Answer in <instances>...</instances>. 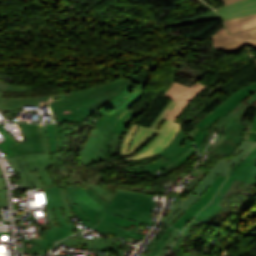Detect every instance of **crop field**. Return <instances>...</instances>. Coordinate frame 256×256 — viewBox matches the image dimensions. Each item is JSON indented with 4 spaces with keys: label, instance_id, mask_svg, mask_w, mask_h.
<instances>
[{
    "label": "crop field",
    "instance_id": "d32e631a",
    "mask_svg": "<svg viewBox=\"0 0 256 256\" xmlns=\"http://www.w3.org/2000/svg\"><path fill=\"white\" fill-rule=\"evenodd\" d=\"M136 229L137 227L135 226H131L129 229L121 227L120 230L117 232L116 236H120V237L127 236L131 238L143 240V238L145 237V234L135 232Z\"/></svg>",
    "mask_w": 256,
    "mask_h": 256
},
{
    "label": "crop field",
    "instance_id": "d8731c3e",
    "mask_svg": "<svg viewBox=\"0 0 256 256\" xmlns=\"http://www.w3.org/2000/svg\"><path fill=\"white\" fill-rule=\"evenodd\" d=\"M145 86L130 85L113 97L107 104L102 106L96 113L103 116L95 123L96 128L110 130L117 119L141 97Z\"/></svg>",
    "mask_w": 256,
    "mask_h": 256
},
{
    "label": "crop field",
    "instance_id": "89e229c0",
    "mask_svg": "<svg viewBox=\"0 0 256 256\" xmlns=\"http://www.w3.org/2000/svg\"><path fill=\"white\" fill-rule=\"evenodd\" d=\"M184 211L179 209L168 221H166L165 223L167 224H171L179 215H181Z\"/></svg>",
    "mask_w": 256,
    "mask_h": 256
},
{
    "label": "crop field",
    "instance_id": "34b2d1b8",
    "mask_svg": "<svg viewBox=\"0 0 256 256\" xmlns=\"http://www.w3.org/2000/svg\"><path fill=\"white\" fill-rule=\"evenodd\" d=\"M120 137V134L90 127L82 129L80 141L76 148V151H79L82 165L86 166L112 159L110 155L117 154Z\"/></svg>",
    "mask_w": 256,
    "mask_h": 256
},
{
    "label": "crop field",
    "instance_id": "d23c7cc5",
    "mask_svg": "<svg viewBox=\"0 0 256 256\" xmlns=\"http://www.w3.org/2000/svg\"><path fill=\"white\" fill-rule=\"evenodd\" d=\"M244 161L256 165V147L254 150L244 159Z\"/></svg>",
    "mask_w": 256,
    "mask_h": 256
},
{
    "label": "crop field",
    "instance_id": "d1516ede",
    "mask_svg": "<svg viewBox=\"0 0 256 256\" xmlns=\"http://www.w3.org/2000/svg\"><path fill=\"white\" fill-rule=\"evenodd\" d=\"M38 126L40 129L41 139L43 142L45 154L44 153L31 154V155H25L24 157L31 171L38 170L46 187L55 186L46 170L49 168H53V166L49 156V146H48V141H47V136L45 131V125L39 124Z\"/></svg>",
    "mask_w": 256,
    "mask_h": 256
},
{
    "label": "crop field",
    "instance_id": "5a996713",
    "mask_svg": "<svg viewBox=\"0 0 256 256\" xmlns=\"http://www.w3.org/2000/svg\"><path fill=\"white\" fill-rule=\"evenodd\" d=\"M58 169L67 183L80 182L85 189L91 188L97 195L111 202L114 194L97 185L106 179L104 174H100L89 166L84 167L82 165H70Z\"/></svg>",
    "mask_w": 256,
    "mask_h": 256
},
{
    "label": "crop field",
    "instance_id": "412701ff",
    "mask_svg": "<svg viewBox=\"0 0 256 256\" xmlns=\"http://www.w3.org/2000/svg\"><path fill=\"white\" fill-rule=\"evenodd\" d=\"M128 83L123 77L113 82L80 91L67 93L69 100L50 104L52 112L85 105L97 111ZM92 95V97H90ZM104 106V105H103Z\"/></svg>",
    "mask_w": 256,
    "mask_h": 256
},
{
    "label": "crop field",
    "instance_id": "028f5c9d",
    "mask_svg": "<svg viewBox=\"0 0 256 256\" xmlns=\"http://www.w3.org/2000/svg\"><path fill=\"white\" fill-rule=\"evenodd\" d=\"M59 188H60V192H61V195H62V199H63L64 205H65V207H63V208L67 211V212H66V213H67L66 219H67L68 223H69L72 227L77 228V230H78L79 232H82V230H80L78 227H76V226L72 223V221L69 219L70 217H72L71 214L69 213L70 211H72V209L69 207V204H68V202H67V200H66L65 191H64V186H63V185H62V186H59Z\"/></svg>",
    "mask_w": 256,
    "mask_h": 256
},
{
    "label": "crop field",
    "instance_id": "eef30255",
    "mask_svg": "<svg viewBox=\"0 0 256 256\" xmlns=\"http://www.w3.org/2000/svg\"><path fill=\"white\" fill-rule=\"evenodd\" d=\"M7 160L9 162L12 170H17V172L21 173L23 188L24 189L34 188L28 175L26 174V172H28L29 169L26 165V162H25L23 156L13 157V158H9Z\"/></svg>",
    "mask_w": 256,
    "mask_h": 256
},
{
    "label": "crop field",
    "instance_id": "447ae74e",
    "mask_svg": "<svg viewBox=\"0 0 256 256\" xmlns=\"http://www.w3.org/2000/svg\"><path fill=\"white\" fill-rule=\"evenodd\" d=\"M252 126H256V115H255V118H254V120L252 122Z\"/></svg>",
    "mask_w": 256,
    "mask_h": 256
},
{
    "label": "crop field",
    "instance_id": "b54c1fbb",
    "mask_svg": "<svg viewBox=\"0 0 256 256\" xmlns=\"http://www.w3.org/2000/svg\"><path fill=\"white\" fill-rule=\"evenodd\" d=\"M56 129H57V139H58V151H63L62 137H61V123L56 124Z\"/></svg>",
    "mask_w": 256,
    "mask_h": 256
},
{
    "label": "crop field",
    "instance_id": "e1f06a70",
    "mask_svg": "<svg viewBox=\"0 0 256 256\" xmlns=\"http://www.w3.org/2000/svg\"><path fill=\"white\" fill-rule=\"evenodd\" d=\"M35 188H45L37 171L28 173Z\"/></svg>",
    "mask_w": 256,
    "mask_h": 256
},
{
    "label": "crop field",
    "instance_id": "214f88e0",
    "mask_svg": "<svg viewBox=\"0 0 256 256\" xmlns=\"http://www.w3.org/2000/svg\"><path fill=\"white\" fill-rule=\"evenodd\" d=\"M186 136V133L183 131V129H181V131L178 133L177 137L173 140V142L159 154H161L162 156L166 157L171 161L180 153L184 152L187 147L191 148L193 143L190 141L189 138L183 146L180 145Z\"/></svg>",
    "mask_w": 256,
    "mask_h": 256
},
{
    "label": "crop field",
    "instance_id": "d3111659",
    "mask_svg": "<svg viewBox=\"0 0 256 256\" xmlns=\"http://www.w3.org/2000/svg\"><path fill=\"white\" fill-rule=\"evenodd\" d=\"M44 190L45 201L48 208L64 206L58 187L46 188Z\"/></svg>",
    "mask_w": 256,
    "mask_h": 256
},
{
    "label": "crop field",
    "instance_id": "dd49c442",
    "mask_svg": "<svg viewBox=\"0 0 256 256\" xmlns=\"http://www.w3.org/2000/svg\"><path fill=\"white\" fill-rule=\"evenodd\" d=\"M241 100L248 104L256 101V83L243 87L233 95L223 100L196 125V127L200 129L194 136L193 140L198 148L202 145L203 141L209 134L207 129L211 127L221 116L225 117V115L236 107Z\"/></svg>",
    "mask_w": 256,
    "mask_h": 256
},
{
    "label": "crop field",
    "instance_id": "a9b5d70f",
    "mask_svg": "<svg viewBox=\"0 0 256 256\" xmlns=\"http://www.w3.org/2000/svg\"><path fill=\"white\" fill-rule=\"evenodd\" d=\"M224 23L230 34H232L244 29L256 27V14L228 20Z\"/></svg>",
    "mask_w": 256,
    "mask_h": 256
},
{
    "label": "crop field",
    "instance_id": "5142ce71",
    "mask_svg": "<svg viewBox=\"0 0 256 256\" xmlns=\"http://www.w3.org/2000/svg\"><path fill=\"white\" fill-rule=\"evenodd\" d=\"M226 177L221 175H217L216 179L213 181L211 186L206 190V192L202 195V197L195 202L192 206L185 210V212L176 219L171 226L176 228H181L184 226L190 219H192L206 204L210 202L212 197L218 191L222 183L225 181Z\"/></svg>",
    "mask_w": 256,
    "mask_h": 256
},
{
    "label": "crop field",
    "instance_id": "0bd39190",
    "mask_svg": "<svg viewBox=\"0 0 256 256\" xmlns=\"http://www.w3.org/2000/svg\"><path fill=\"white\" fill-rule=\"evenodd\" d=\"M64 98H66L64 94L56 95V96H44V97H41L40 105H47L48 102L56 101Z\"/></svg>",
    "mask_w": 256,
    "mask_h": 256
},
{
    "label": "crop field",
    "instance_id": "73cf0c24",
    "mask_svg": "<svg viewBox=\"0 0 256 256\" xmlns=\"http://www.w3.org/2000/svg\"><path fill=\"white\" fill-rule=\"evenodd\" d=\"M178 232H179V231L174 228L173 232H172L171 235L167 238V240H166L165 243L170 244V242H171L172 239L177 240V238H178L177 233H178Z\"/></svg>",
    "mask_w": 256,
    "mask_h": 256
},
{
    "label": "crop field",
    "instance_id": "b80d0937",
    "mask_svg": "<svg viewBox=\"0 0 256 256\" xmlns=\"http://www.w3.org/2000/svg\"><path fill=\"white\" fill-rule=\"evenodd\" d=\"M70 207L74 210V212L79 216V218L82 220V222H83L85 225H87V226L93 228V227L87 222L89 219L82 213V211H81L75 204L70 205Z\"/></svg>",
    "mask_w": 256,
    "mask_h": 256
},
{
    "label": "crop field",
    "instance_id": "cbeb9de0",
    "mask_svg": "<svg viewBox=\"0 0 256 256\" xmlns=\"http://www.w3.org/2000/svg\"><path fill=\"white\" fill-rule=\"evenodd\" d=\"M206 86L196 82L191 88L180 83L174 82L167 90L165 96L178 101L177 106L166 117L175 120L182 112L184 107L193 99V97L203 90Z\"/></svg>",
    "mask_w": 256,
    "mask_h": 256
},
{
    "label": "crop field",
    "instance_id": "00972430",
    "mask_svg": "<svg viewBox=\"0 0 256 256\" xmlns=\"http://www.w3.org/2000/svg\"><path fill=\"white\" fill-rule=\"evenodd\" d=\"M188 150H189V148H187V150L184 153L180 154L178 157H176L171 162L168 161L167 159L163 158V159L155 161L149 165L138 166V167H126L124 169L127 172L132 173V174H148V173L154 172L158 169H161V168L175 162L177 159H179L181 156H183Z\"/></svg>",
    "mask_w": 256,
    "mask_h": 256
},
{
    "label": "crop field",
    "instance_id": "28ad6ade",
    "mask_svg": "<svg viewBox=\"0 0 256 256\" xmlns=\"http://www.w3.org/2000/svg\"><path fill=\"white\" fill-rule=\"evenodd\" d=\"M213 46L228 52H240L246 45L256 49V28L244 30L229 35L225 27L218 30L213 36Z\"/></svg>",
    "mask_w": 256,
    "mask_h": 256
},
{
    "label": "crop field",
    "instance_id": "1d83c4d3",
    "mask_svg": "<svg viewBox=\"0 0 256 256\" xmlns=\"http://www.w3.org/2000/svg\"><path fill=\"white\" fill-rule=\"evenodd\" d=\"M47 136L50 145V152L57 151V139L55 124H46Z\"/></svg>",
    "mask_w": 256,
    "mask_h": 256
},
{
    "label": "crop field",
    "instance_id": "750c4746",
    "mask_svg": "<svg viewBox=\"0 0 256 256\" xmlns=\"http://www.w3.org/2000/svg\"><path fill=\"white\" fill-rule=\"evenodd\" d=\"M213 19H219V16L215 11L210 12L205 15H200V16H196L193 18L183 20V21H179V22H176L173 24L164 25L163 27L167 28V27H171V26L189 25L191 23L201 22V21H206V20H213Z\"/></svg>",
    "mask_w": 256,
    "mask_h": 256
},
{
    "label": "crop field",
    "instance_id": "0fb4a251",
    "mask_svg": "<svg viewBox=\"0 0 256 256\" xmlns=\"http://www.w3.org/2000/svg\"><path fill=\"white\" fill-rule=\"evenodd\" d=\"M176 168H178L177 166H175L174 164H172V165H170V166H168V167H166V168H164L167 172H170V171H172V170H174V169H176Z\"/></svg>",
    "mask_w": 256,
    "mask_h": 256
},
{
    "label": "crop field",
    "instance_id": "425ffa30",
    "mask_svg": "<svg viewBox=\"0 0 256 256\" xmlns=\"http://www.w3.org/2000/svg\"><path fill=\"white\" fill-rule=\"evenodd\" d=\"M54 210H55V212H56V214H57V216H58V218H59L61 224H62V225H66V226L69 228V230L71 231L73 228L67 223L65 217H64V218L62 217L60 209H59V208H56V209H54Z\"/></svg>",
    "mask_w": 256,
    "mask_h": 256
},
{
    "label": "crop field",
    "instance_id": "733c2abd",
    "mask_svg": "<svg viewBox=\"0 0 256 256\" xmlns=\"http://www.w3.org/2000/svg\"><path fill=\"white\" fill-rule=\"evenodd\" d=\"M76 205L83 211V213L90 219L88 222L95 226L99 220L106 221L111 224L123 226L129 228L131 225L139 226L140 222H136L130 219L121 218L109 213H98L95 210L91 209L90 207L86 206L85 204L79 202Z\"/></svg>",
    "mask_w": 256,
    "mask_h": 256
},
{
    "label": "crop field",
    "instance_id": "c21b1889",
    "mask_svg": "<svg viewBox=\"0 0 256 256\" xmlns=\"http://www.w3.org/2000/svg\"><path fill=\"white\" fill-rule=\"evenodd\" d=\"M246 128H248L249 130H252V131H256V127L247 126ZM242 137L256 141V133L255 132H251V131L246 132L245 131Z\"/></svg>",
    "mask_w": 256,
    "mask_h": 256
},
{
    "label": "crop field",
    "instance_id": "dafd665d",
    "mask_svg": "<svg viewBox=\"0 0 256 256\" xmlns=\"http://www.w3.org/2000/svg\"><path fill=\"white\" fill-rule=\"evenodd\" d=\"M94 113L92 110L81 106L58 112L59 121H75L83 124L84 120ZM57 122V121H56Z\"/></svg>",
    "mask_w": 256,
    "mask_h": 256
},
{
    "label": "crop field",
    "instance_id": "22f410ed",
    "mask_svg": "<svg viewBox=\"0 0 256 256\" xmlns=\"http://www.w3.org/2000/svg\"><path fill=\"white\" fill-rule=\"evenodd\" d=\"M80 131L81 129L70 127L68 123H62L64 152L50 153L54 167H59L63 161H69L78 158V152H75V148L78 144Z\"/></svg>",
    "mask_w": 256,
    "mask_h": 256
},
{
    "label": "crop field",
    "instance_id": "1f2cbd36",
    "mask_svg": "<svg viewBox=\"0 0 256 256\" xmlns=\"http://www.w3.org/2000/svg\"><path fill=\"white\" fill-rule=\"evenodd\" d=\"M206 171L195 169L192 175L198 176L203 179V177L206 175Z\"/></svg>",
    "mask_w": 256,
    "mask_h": 256
},
{
    "label": "crop field",
    "instance_id": "1d79db26",
    "mask_svg": "<svg viewBox=\"0 0 256 256\" xmlns=\"http://www.w3.org/2000/svg\"><path fill=\"white\" fill-rule=\"evenodd\" d=\"M222 2V4L225 6V5H228L232 2H235V1H238V0H220Z\"/></svg>",
    "mask_w": 256,
    "mask_h": 256
},
{
    "label": "crop field",
    "instance_id": "f4fd0767",
    "mask_svg": "<svg viewBox=\"0 0 256 256\" xmlns=\"http://www.w3.org/2000/svg\"><path fill=\"white\" fill-rule=\"evenodd\" d=\"M249 105L241 103L234 108L230 113L227 114L225 118H220L210 129L211 132L207 139L204 141L203 145L198 149L199 155L204 151L205 147L209 143L212 137V132L219 126L223 127L222 133L226 134L223 140L219 143L217 148L212 152L213 154L220 155L222 153L231 154L232 151L241 143L242 134L246 126L240 125L242 118L249 109Z\"/></svg>",
    "mask_w": 256,
    "mask_h": 256
},
{
    "label": "crop field",
    "instance_id": "e52e79f7",
    "mask_svg": "<svg viewBox=\"0 0 256 256\" xmlns=\"http://www.w3.org/2000/svg\"><path fill=\"white\" fill-rule=\"evenodd\" d=\"M253 146H255V143L243 140L232 153L237 156L228 161L226 159H220L216 164H214L205 178L197 184L196 188L192 190L162 221L165 222L167 219H169L179 208L185 210L193 202L197 201L212 183L217 174L225 176L229 167L233 163L241 160V158L245 156Z\"/></svg>",
    "mask_w": 256,
    "mask_h": 256
},
{
    "label": "crop field",
    "instance_id": "5d738f31",
    "mask_svg": "<svg viewBox=\"0 0 256 256\" xmlns=\"http://www.w3.org/2000/svg\"><path fill=\"white\" fill-rule=\"evenodd\" d=\"M196 152L195 148L190 150L183 158H181L179 161H177L176 164L178 167L182 165L184 162H186L194 153Z\"/></svg>",
    "mask_w": 256,
    "mask_h": 256
},
{
    "label": "crop field",
    "instance_id": "c035e120",
    "mask_svg": "<svg viewBox=\"0 0 256 256\" xmlns=\"http://www.w3.org/2000/svg\"><path fill=\"white\" fill-rule=\"evenodd\" d=\"M0 176H2L1 170ZM4 190H6L5 181L3 178H0V206L6 205Z\"/></svg>",
    "mask_w": 256,
    "mask_h": 256
},
{
    "label": "crop field",
    "instance_id": "03da06ac",
    "mask_svg": "<svg viewBox=\"0 0 256 256\" xmlns=\"http://www.w3.org/2000/svg\"><path fill=\"white\" fill-rule=\"evenodd\" d=\"M0 90L21 91V90H26V87H13L0 82Z\"/></svg>",
    "mask_w": 256,
    "mask_h": 256
},
{
    "label": "crop field",
    "instance_id": "0765c3eb",
    "mask_svg": "<svg viewBox=\"0 0 256 256\" xmlns=\"http://www.w3.org/2000/svg\"><path fill=\"white\" fill-rule=\"evenodd\" d=\"M2 95H3V92L0 91V98H1Z\"/></svg>",
    "mask_w": 256,
    "mask_h": 256
},
{
    "label": "crop field",
    "instance_id": "25e5ab78",
    "mask_svg": "<svg viewBox=\"0 0 256 256\" xmlns=\"http://www.w3.org/2000/svg\"><path fill=\"white\" fill-rule=\"evenodd\" d=\"M199 223H200V221H197V220L193 219V220L190 222V224L186 227V229L183 231L182 235L188 237L189 234H190L189 231H191V227H192L193 225H198Z\"/></svg>",
    "mask_w": 256,
    "mask_h": 256
},
{
    "label": "crop field",
    "instance_id": "4a817a6b",
    "mask_svg": "<svg viewBox=\"0 0 256 256\" xmlns=\"http://www.w3.org/2000/svg\"><path fill=\"white\" fill-rule=\"evenodd\" d=\"M223 21L243 15L256 13V0H243L216 10Z\"/></svg>",
    "mask_w": 256,
    "mask_h": 256
},
{
    "label": "crop field",
    "instance_id": "120bbe31",
    "mask_svg": "<svg viewBox=\"0 0 256 256\" xmlns=\"http://www.w3.org/2000/svg\"><path fill=\"white\" fill-rule=\"evenodd\" d=\"M0 130L2 131V133L4 134V136L6 137V141H4L3 143L0 144V148L2 149L3 153L5 154V156L8 157H12V156H16L15 153L13 152V150L10 148L9 145L14 144L13 140L6 134L5 130L3 129V127L0 124Z\"/></svg>",
    "mask_w": 256,
    "mask_h": 256
},
{
    "label": "crop field",
    "instance_id": "ac0d7876",
    "mask_svg": "<svg viewBox=\"0 0 256 256\" xmlns=\"http://www.w3.org/2000/svg\"><path fill=\"white\" fill-rule=\"evenodd\" d=\"M89 197L106 206V212L140 221L143 224L154 225L150 213L155 201L162 202L163 197L145 196L142 193L120 190L114 196L111 203L97 196L91 189L86 190Z\"/></svg>",
    "mask_w": 256,
    "mask_h": 256
},
{
    "label": "crop field",
    "instance_id": "9d1cf04e",
    "mask_svg": "<svg viewBox=\"0 0 256 256\" xmlns=\"http://www.w3.org/2000/svg\"><path fill=\"white\" fill-rule=\"evenodd\" d=\"M198 128H195L191 131V133L189 134L191 138H193V136L195 135V133L197 132Z\"/></svg>",
    "mask_w": 256,
    "mask_h": 256
},
{
    "label": "crop field",
    "instance_id": "bc2a9ffb",
    "mask_svg": "<svg viewBox=\"0 0 256 256\" xmlns=\"http://www.w3.org/2000/svg\"><path fill=\"white\" fill-rule=\"evenodd\" d=\"M64 186L69 204L81 201L100 213L105 210V207L87 196L84 188L80 185V183H74Z\"/></svg>",
    "mask_w": 256,
    "mask_h": 256
},
{
    "label": "crop field",
    "instance_id": "8a807250",
    "mask_svg": "<svg viewBox=\"0 0 256 256\" xmlns=\"http://www.w3.org/2000/svg\"><path fill=\"white\" fill-rule=\"evenodd\" d=\"M176 104L177 102L172 100L165 110L157 117L150 129L131 124L124 137L121 155H128L141 147L151 139L155 132L160 134L144 150L133 157L125 159L126 161L143 159L155 155L172 142L181 126L177 122L165 120L164 118Z\"/></svg>",
    "mask_w": 256,
    "mask_h": 256
},
{
    "label": "crop field",
    "instance_id": "bd1437ed",
    "mask_svg": "<svg viewBox=\"0 0 256 256\" xmlns=\"http://www.w3.org/2000/svg\"><path fill=\"white\" fill-rule=\"evenodd\" d=\"M137 114L135 113H131V112H126L121 119L115 124V126L112 128V132H117V133H121V134H125L130 123L129 120L131 118L136 117Z\"/></svg>",
    "mask_w": 256,
    "mask_h": 256
},
{
    "label": "crop field",
    "instance_id": "ae1a2a85",
    "mask_svg": "<svg viewBox=\"0 0 256 256\" xmlns=\"http://www.w3.org/2000/svg\"><path fill=\"white\" fill-rule=\"evenodd\" d=\"M40 97L37 98H2L0 108L5 110L19 109L23 104H39Z\"/></svg>",
    "mask_w": 256,
    "mask_h": 256
},
{
    "label": "crop field",
    "instance_id": "92a150f3",
    "mask_svg": "<svg viewBox=\"0 0 256 256\" xmlns=\"http://www.w3.org/2000/svg\"><path fill=\"white\" fill-rule=\"evenodd\" d=\"M60 243H64V244H68V245H72V246L96 249V250H100V251H109V252H111V249L113 247V244L97 242V241L79 237L77 235L67 238V239L61 241Z\"/></svg>",
    "mask_w": 256,
    "mask_h": 256
},
{
    "label": "crop field",
    "instance_id": "dbb93151",
    "mask_svg": "<svg viewBox=\"0 0 256 256\" xmlns=\"http://www.w3.org/2000/svg\"><path fill=\"white\" fill-rule=\"evenodd\" d=\"M167 247H168V244L163 243V245L160 247V249L155 254V256H161L165 252Z\"/></svg>",
    "mask_w": 256,
    "mask_h": 256
},
{
    "label": "crop field",
    "instance_id": "730fd06b",
    "mask_svg": "<svg viewBox=\"0 0 256 256\" xmlns=\"http://www.w3.org/2000/svg\"><path fill=\"white\" fill-rule=\"evenodd\" d=\"M250 183H246V182H241V181H237L234 180L233 183L231 184V186L229 187V189L227 190V192L225 193V195L223 196L222 200L220 201V203L218 205L222 206L223 208L217 212L211 219H209L207 221V223L209 224H214L218 218L225 212V211H230L227 209L225 202L226 200L232 195L234 194L236 191L238 190H242L244 188H246L247 186H249ZM231 212V211H230Z\"/></svg>",
    "mask_w": 256,
    "mask_h": 256
},
{
    "label": "crop field",
    "instance_id": "4177f3b9",
    "mask_svg": "<svg viewBox=\"0 0 256 256\" xmlns=\"http://www.w3.org/2000/svg\"><path fill=\"white\" fill-rule=\"evenodd\" d=\"M44 211H45V213L50 221L51 227H52V229L45 230L47 239L58 242V241L64 239L65 237L73 234L67 229L66 226L56 227L53 225V219H55V218H54V215H53L51 209H45Z\"/></svg>",
    "mask_w": 256,
    "mask_h": 256
},
{
    "label": "crop field",
    "instance_id": "db79e9e6",
    "mask_svg": "<svg viewBox=\"0 0 256 256\" xmlns=\"http://www.w3.org/2000/svg\"><path fill=\"white\" fill-rule=\"evenodd\" d=\"M162 172V174H166L167 172L166 171H161Z\"/></svg>",
    "mask_w": 256,
    "mask_h": 256
},
{
    "label": "crop field",
    "instance_id": "d9b57169",
    "mask_svg": "<svg viewBox=\"0 0 256 256\" xmlns=\"http://www.w3.org/2000/svg\"><path fill=\"white\" fill-rule=\"evenodd\" d=\"M27 141L11 145L17 155L44 152L38 126L19 123Z\"/></svg>",
    "mask_w": 256,
    "mask_h": 256
},
{
    "label": "crop field",
    "instance_id": "5866460e",
    "mask_svg": "<svg viewBox=\"0 0 256 256\" xmlns=\"http://www.w3.org/2000/svg\"><path fill=\"white\" fill-rule=\"evenodd\" d=\"M119 226L111 225L106 222L101 221L95 228L94 230L106 232L109 234L115 235L116 232L119 230Z\"/></svg>",
    "mask_w": 256,
    "mask_h": 256
},
{
    "label": "crop field",
    "instance_id": "3316defc",
    "mask_svg": "<svg viewBox=\"0 0 256 256\" xmlns=\"http://www.w3.org/2000/svg\"><path fill=\"white\" fill-rule=\"evenodd\" d=\"M234 179L256 184V166L250 165L242 161L239 166L234 170L232 175L229 176V178L226 180L214 200L205 209H203L195 219L206 222L210 217H212L218 210L222 208L217 204Z\"/></svg>",
    "mask_w": 256,
    "mask_h": 256
}]
</instances>
